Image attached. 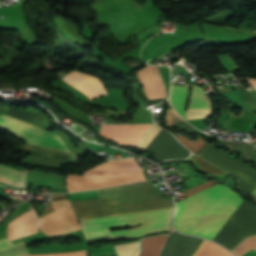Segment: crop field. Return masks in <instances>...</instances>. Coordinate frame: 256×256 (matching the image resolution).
Listing matches in <instances>:
<instances>
[{
    "label": "crop field",
    "mask_w": 256,
    "mask_h": 256,
    "mask_svg": "<svg viewBox=\"0 0 256 256\" xmlns=\"http://www.w3.org/2000/svg\"><path fill=\"white\" fill-rule=\"evenodd\" d=\"M243 201L227 186L216 185L177 202L174 226L181 233L212 240Z\"/></svg>",
    "instance_id": "1"
},
{
    "label": "crop field",
    "mask_w": 256,
    "mask_h": 256,
    "mask_svg": "<svg viewBox=\"0 0 256 256\" xmlns=\"http://www.w3.org/2000/svg\"><path fill=\"white\" fill-rule=\"evenodd\" d=\"M190 85L172 86L170 103L176 112L185 119L186 112L184 110L187 102V96Z\"/></svg>",
    "instance_id": "14"
},
{
    "label": "crop field",
    "mask_w": 256,
    "mask_h": 256,
    "mask_svg": "<svg viewBox=\"0 0 256 256\" xmlns=\"http://www.w3.org/2000/svg\"><path fill=\"white\" fill-rule=\"evenodd\" d=\"M194 256H234L227 250L205 240Z\"/></svg>",
    "instance_id": "17"
},
{
    "label": "crop field",
    "mask_w": 256,
    "mask_h": 256,
    "mask_svg": "<svg viewBox=\"0 0 256 256\" xmlns=\"http://www.w3.org/2000/svg\"><path fill=\"white\" fill-rule=\"evenodd\" d=\"M244 256H256V252L254 250L249 251Z\"/></svg>",
    "instance_id": "31"
},
{
    "label": "crop field",
    "mask_w": 256,
    "mask_h": 256,
    "mask_svg": "<svg viewBox=\"0 0 256 256\" xmlns=\"http://www.w3.org/2000/svg\"><path fill=\"white\" fill-rule=\"evenodd\" d=\"M212 108L211 99L207 98L202 88L192 87V93L187 109Z\"/></svg>",
    "instance_id": "16"
},
{
    "label": "crop field",
    "mask_w": 256,
    "mask_h": 256,
    "mask_svg": "<svg viewBox=\"0 0 256 256\" xmlns=\"http://www.w3.org/2000/svg\"><path fill=\"white\" fill-rule=\"evenodd\" d=\"M198 155L236 175L239 178V187L244 190L245 194H249L256 189V171H253L250 165H245L230 158L214 149L213 145L209 143L203 147Z\"/></svg>",
    "instance_id": "8"
},
{
    "label": "crop field",
    "mask_w": 256,
    "mask_h": 256,
    "mask_svg": "<svg viewBox=\"0 0 256 256\" xmlns=\"http://www.w3.org/2000/svg\"><path fill=\"white\" fill-rule=\"evenodd\" d=\"M147 125H101L99 134L105 139H113L117 144L131 146ZM161 129L148 125L132 146L145 150Z\"/></svg>",
    "instance_id": "6"
},
{
    "label": "crop field",
    "mask_w": 256,
    "mask_h": 256,
    "mask_svg": "<svg viewBox=\"0 0 256 256\" xmlns=\"http://www.w3.org/2000/svg\"><path fill=\"white\" fill-rule=\"evenodd\" d=\"M40 224L41 221L40 219H37V214L33 209L9 223L7 237L10 240H14L16 238L37 233Z\"/></svg>",
    "instance_id": "13"
},
{
    "label": "crop field",
    "mask_w": 256,
    "mask_h": 256,
    "mask_svg": "<svg viewBox=\"0 0 256 256\" xmlns=\"http://www.w3.org/2000/svg\"><path fill=\"white\" fill-rule=\"evenodd\" d=\"M98 195L99 199L70 202L78 219L173 207L149 181L100 190Z\"/></svg>",
    "instance_id": "2"
},
{
    "label": "crop field",
    "mask_w": 256,
    "mask_h": 256,
    "mask_svg": "<svg viewBox=\"0 0 256 256\" xmlns=\"http://www.w3.org/2000/svg\"><path fill=\"white\" fill-rule=\"evenodd\" d=\"M146 150L155 153V159L157 161L165 159H184L190 154V152L182 147L170 133L164 130L160 131Z\"/></svg>",
    "instance_id": "10"
},
{
    "label": "crop field",
    "mask_w": 256,
    "mask_h": 256,
    "mask_svg": "<svg viewBox=\"0 0 256 256\" xmlns=\"http://www.w3.org/2000/svg\"><path fill=\"white\" fill-rule=\"evenodd\" d=\"M197 139L195 141H190L188 138L184 137L181 133L177 137L179 141L189 148L192 152L198 153V151L206 144V142L199 136H196Z\"/></svg>",
    "instance_id": "20"
},
{
    "label": "crop field",
    "mask_w": 256,
    "mask_h": 256,
    "mask_svg": "<svg viewBox=\"0 0 256 256\" xmlns=\"http://www.w3.org/2000/svg\"><path fill=\"white\" fill-rule=\"evenodd\" d=\"M172 210L173 209L96 219H82L79 221L86 239L110 234L111 240L115 241L169 232ZM143 223L148 224L122 231L109 230L110 228L130 227Z\"/></svg>",
    "instance_id": "3"
},
{
    "label": "crop field",
    "mask_w": 256,
    "mask_h": 256,
    "mask_svg": "<svg viewBox=\"0 0 256 256\" xmlns=\"http://www.w3.org/2000/svg\"><path fill=\"white\" fill-rule=\"evenodd\" d=\"M30 153H41V154H48V155H58V156H64L66 158H70V154L58 150L48 149L40 146L34 145Z\"/></svg>",
    "instance_id": "22"
},
{
    "label": "crop field",
    "mask_w": 256,
    "mask_h": 256,
    "mask_svg": "<svg viewBox=\"0 0 256 256\" xmlns=\"http://www.w3.org/2000/svg\"><path fill=\"white\" fill-rule=\"evenodd\" d=\"M135 158L102 163L85 171V175H68V192L92 190L146 180L142 171H137Z\"/></svg>",
    "instance_id": "4"
},
{
    "label": "crop field",
    "mask_w": 256,
    "mask_h": 256,
    "mask_svg": "<svg viewBox=\"0 0 256 256\" xmlns=\"http://www.w3.org/2000/svg\"><path fill=\"white\" fill-rule=\"evenodd\" d=\"M51 196H52V200L56 198H65L64 194L51 195Z\"/></svg>",
    "instance_id": "32"
},
{
    "label": "crop field",
    "mask_w": 256,
    "mask_h": 256,
    "mask_svg": "<svg viewBox=\"0 0 256 256\" xmlns=\"http://www.w3.org/2000/svg\"><path fill=\"white\" fill-rule=\"evenodd\" d=\"M25 174L0 166V182L12 187H23Z\"/></svg>",
    "instance_id": "15"
},
{
    "label": "crop field",
    "mask_w": 256,
    "mask_h": 256,
    "mask_svg": "<svg viewBox=\"0 0 256 256\" xmlns=\"http://www.w3.org/2000/svg\"><path fill=\"white\" fill-rule=\"evenodd\" d=\"M247 80H248V81L253 85V87L256 89V79L248 78Z\"/></svg>",
    "instance_id": "30"
},
{
    "label": "crop field",
    "mask_w": 256,
    "mask_h": 256,
    "mask_svg": "<svg viewBox=\"0 0 256 256\" xmlns=\"http://www.w3.org/2000/svg\"><path fill=\"white\" fill-rule=\"evenodd\" d=\"M27 254H29L27 249H23V250L0 253V256H22Z\"/></svg>",
    "instance_id": "27"
},
{
    "label": "crop field",
    "mask_w": 256,
    "mask_h": 256,
    "mask_svg": "<svg viewBox=\"0 0 256 256\" xmlns=\"http://www.w3.org/2000/svg\"><path fill=\"white\" fill-rule=\"evenodd\" d=\"M255 193H256V191H255Z\"/></svg>",
    "instance_id": "33"
},
{
    "label": "crop field",
    "mask_w": 256,
    "mask_h": 256,
    "mask_svg": "<svg viewBox=\"0 0 256 256\" xmlns=\"http://www.w3.org/2000/svg\"><path fill=\"white\" fill-rule=\"evenodd\" d=\"M52 211H54L53 210V208H52V205H51V203L47 206V208H46V210H45V212H44V214L42 215V216H44V215H46V214H48V213H50V212H52Z\"/></svg>",
    "instance_id": "29"
},
{
    "label": "crop field",
    "mask_w": 256,
    "mask_h": 256,
    "mask_svg": "<svg viewBox=\"0 0 256 256\" xmlns=\"http://www.w3.org/2000/svg\"><path fill=\"white\" fill-rule=\"evenodd\" d=\"M27 256H86V251L73 253L43 254V255H27Z\"/></svg>",
    "instance_id": "26"
},
{
    "label": "crop field",
    "mask_w": 256,
    "mask_h": 256,
    "mask_svg": "<svg viewBox=\"0 0 256 256\" xmlns=\"http://www.w3.org/2000/svg\"><path fill=\"white\" fill-rule=\"evenodd\" d=\"M0 127L29 143L69 152L59 135L0 114Z\"/></svg>",
    "instance_id": "7"
},
{
    "label": "crop field",
    "mask_w": 256,
    "mask_h": 256,
    "mask_svg": "<svg viewBox=\"0 0 256 256\" xmlns=\"http://www.w3.org/2000/svg\"><path fill=\"white\" fill-rule=\"evenodd\" d=\"M23 242L12 244L7 238L0 240V252L24 248Z\"/></svg>",
    "instance_id": "24"
},
{
    "label": "crop field",
    "mask_w": 256,
    "mask_h": 256,
    "mask_svg": "<svg viewBox=\"0 0 256 256\" xmlns=\"http://www.w3.org/2000/svg\"><path fill=\"white\" fill-rule=\"evenodd\" d=\"M214 185H216V183H215L214 180H212V181H210V182H207V183H205V184H202V185H200V186H197V187H195V188H192V189H190V190H187V191H185V192H183V193L185 194L186 197H188V196H190V195H192V194H195V193H197V192H199V191H202V190H204V189H206V188H209V187H211V186H214Z\"/></svg>",
    "instance_id": "25"
},
{
    "label": "crop field",
    "mask_w": 256,
    "mask_h": 256,
    "mask_svg": "<svg viewBox=\"0 0 256 256\" xmlns=\"http://www.w3.org/2000/svg\"><path fill=\"white\" fill-rule=\"evenodd\" d=\"M222 145L228 149L242 151V157L256 160V151L254 147L248 143H235V142H224Z\"/></svg>",
    "instance_id": "18"
},
{
    "label": "crop field",
    "mask_w": 256,
    "mask_h": 256,
    "mask_svg": "<svg viewBox=\"0 0 256 256\" xmlns=\"http://www.w3.org/2000/svg\"><path fill=\"white\" fill-rule=\"evenodd\" d=\"M51 203L55 211L42 217L43 225L41 231L44 234L55 236L81 229L68 200L53 201Z\"/></svg>",
    "instance_id": "9"
},
{
    "label": "crop field",
    "mask_w": 256,
    "mask_h": 256,
    "mask_svg": "<svg viewBox=\"0 0 256 256\" xmlns=\"http://www.w3.org/2000/svg\"><path fill=\"white\" fill-rule=\"evenodd\" d=\"M168 235L143 239L139 256H158ZM201 239L170 234L160 256H191Z\"/></svg>",
    "instance_id": "5"
},
{
    "label": "crop field",
    "mask_w": 256,
    "mask_h": 256,
    "mask_svg": "<svg viewBox=\"0 0 256 256\" xmlns=\"http://www.w3.org/2000/svg\"><path fill=\"white\" fill-rule=\"evenodd\" d=\"M191 161L195 162L200 170L206 172L209 175H219L228 173L216 167L212 163L197 157L196 155L191 159Z\"/></svg>",
    "instance_id": "19"
},
{
    "label": "crop field",
    "mask_w": 256,
    "mask_h": 256,
    "mask_svg": "<svg viewBox=\"0 0 256 256\" xmlns=\"http://www.w3.org/2000/svg\"><path fill=\"white\" fill-rule=\"evenodd\" d=\"M65 161L64 159H56V158H49V157H42V156H34L30 155L27 162L29 163H37V164H44V165H52L56 166L60 163Z\"/></svg>",
    "instance_id": "21"
},
{
    "label": "crop field",
    "mask_w": 256,
    "mask_h": 256,
    "mask_svg": "<svg viewBox=\"0 0 256 256\" xmlns=\"http://www.w3.org/2000/svg\"><path fill=\"white\" fill-rule=\"evenodd\" d=\"M61 79L90 99L107 94L99 79L74 70Z\"/></svg>",
    "instance_id": "12"
},
{
    "label": "crop field",
    "mask_w": 256,
    "mask_h": 256,
    "mask_svg": "<svg viewBox=\"0 0 256 256\" xmlns=\"http://www.w3.org/2000/svg\"><path fill=\"white\" fill-rule=\"evenodd\" d=\"M211 115L212 109L187 110L186 120L193 118H205L210 117Z\"/></svg>",
    "instance_id": "23"
},
{
    "label": "crop field",
    "mask_w": 256,
    "mask_h": 256,
    "mask_svg": "<svg viewBox=\"0 0 256 256\" xmlns=\"http://www.w3.org/2000/svg\"><path fill=\"white\" fill-rule=\"evenodd\" d=\"M137 74L147 99L167 98L168 93L159 66L147 65L138 70Z\"/></svg>",
    "instance_id": "11"
},
{
    "label": "crop field",
    "mask_w": 256,
    "mask_h": 256,
    "mask_svg": "<svg viewBox=\"0 0 256 256\" xmlns=\"http://www.w3.org/2000/svg\"><path fill=\"white\" fill-rule=\"evenodd\" d=\"M177 125L178 127L184 129L185 131H187L188 133L192 134V133H195L196 130L195 128H193L191 125H189L187 122L183 121V122H180L178 124H175Z\"/></svg>",
    "instance_id": "28"
}]
</instances>
